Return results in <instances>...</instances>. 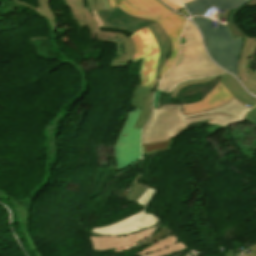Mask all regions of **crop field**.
Listing matches in <instances>:
<instances>
[{
    "mask_svg": "<svg viewBox=\"0 0 256 256\" xmlns=\"http://www.w3.org/2000/svg\"><path fill=\"white\" fill-rule=\"evenodd\" d=\"M249 110L235 97L229 103L192 115H184L183 111L153 109L150 120L143 130L142 145L170 140L178 133L195 127L192 123L198 121L210 120L206 124L225 127L243 121Z\"/></svg>",
    "mask_w": 256,
    "mask_h": 256,
    "instance_id": "obj_1",
    "label": "crop field"
},
{
    "mask_svg": "<svg viewBox=\"0 0 256 256\" xmlns=\"http://www.w3.org/2000/svg\"><path fill=\"white\" fill-rule=\"evenodd\" d=\"M181 38L186 43L180 44V55L175 67L161 79L154 94L153 108H158V97L161 92L169 93L183 81L213 78L226 73L208 58L201 37L190 21L187 22Z\"/></svg>",
    "mask_w": 256,
    "mask_h": 256,
    "instance_id": "obj_2",
    "label": "crop field"
},
{
    "mask_svg": "<svg viewBox=\"0 0 256 256\" xmlns=\"http://www.w3.org/2000/svg\"><path fill=\"white\" fill-rule=\"evenodd\" d=\"M200 28L211 58L227 71L237 75V63L243 45V38L232 40L226 24L219 23L212 28L211 20L194 18Z\"/></svg>",
    "mask_w": 256,
    "mask_h": 256,
    "instance_id": "obj_3",
    "label": "crop field"
},
{
    "mask_svg": "<svg viewBox=\"0 0 256 256\" xmlns=\"http://www.w3.org/2000/svg\"><path fill=\"white\" fill-rule=\"evenodd\" d=\"M129 37L134 44L132 62H142L140 67L141 85L152 88L159 56L156 39L148 27Z\"/></svg>",
    "mask_w": 256,
    "mask_h": 256,
    "instance_id": "obj_4",
    "label": "crop field"
},
{
    "mask_svg": "<svg viewBox=\"0 0 256 256\" xmlns=\"http://www.w3.org/2000/svg\"><path fill=\"white\" fill-rule=\"evenodd\" d=\"M124 10V12L133 15V16H138L146 19H150L153 21H156L160 24V26L165 30V32L169 35L171 41H172V51L171 54L165 63L164 67L162 68L159 79L163 76V74L170 68H172L179 52V36L182 32L184 23H185V18L176 14V13H171L170 15L166 16L165 18L159 20L154 17L136 12L132 9H130L127 5H125L123 2L120 3L118 6Z\"/></svg>",
    "mask_w": 256,
    "mask_h": 256,
    "instance_id": "obj_5",
    "label": "crop field"
},
{
    "mask_svg": "<svg viewBox=\"0 0 256 256\" xmlns=\"http://www.w3.org/2000/svg\"><path fill=\"white\" fill-rule=\"evenodd\" d=\"M158 221L159 218L150 214L145 215V212L142 210L140 213L114 225L92 229L91 232L99 235H127L151 227Z\"/></svg>",
    "mask_w": 256,
    "mask_h": 256,
    "instance_id": "obj_6",
    "label": "crop field"
},
{
    "mask_svg": "<svg viewBox=\"0 0 256 256\" xmlns=\"http://www.w3.org/2000/svg\"><path fill=\"white\" fill-rule=\"evenodd\" d=\"M97 13L104 23L103 27L126 30L132 33L155 23L150 20L130 16L118 7L112 10L97 11Z\"/></svg>",
    "mask_w": 256,
    "mask_h": 256,
    "instance_id": "obj_7",
    "label": "crop field"
},
{
    "mask_svg": "<svg viewBox=\"0 0 256 256\" xmlns=\"http://www.w3.org/2000/svg\"><path fill=\"white\" fill-rule=\"evenodd\" d=\"M50 169L49 166H47V172H46V176L43 179V181L37 185L35 188V190L26 198L23 200V202L18 201L16 199L10 198L9 195L3 193L0 190V197H5L10 203L11 205L14 207V209L17 212V216H18V224L20 226L21 232L26 234L27 237V241L29 243V246L32 250V253L35 256H39V254L37 253L30 237L27 231V219L29 216V208L35 198V196L40 192V190L44 187V185L48 182L49 180V176H50Z\"/></svg>",
    "mask_w": 256,
    "mask_h": 256,
    "instance_id": "obj_8",
    "label": "crop field"
},
{
    "mask_svg": "<svg viewBox=\"0 0 256 256\" xmlns=\"http://www.w3.org/2000/svg\"><path fill=\"white\" fill-rule=\"evenodd\" d=\"M256 52V38L244 37V45L238 63L239 79L246 88L256 94V70H251Z\"/></svg>",
    "mask_w": 256,
    "mask_h": 256,
    "instance_id": "obj_9",
    "label": "crop field"
},
{
    "mask_svg": "<svg viewBox=\"0 0 256 256\" xmlns=\"http://www.w3.org/2000/svg\"><path fill=\"white\" fill-rule=\"evenodd\" d=\"M38 14V13H37ZM45 19V18H44ZM46 20V19H45ZM47 21V20H46ZM48 23V21H47ZM49 24V23H48ZM49 31H50V37H51V41H52V45L53 48L55 49V51L59 54V56L61 57L63 63H66L68 65H70L73 69H75L77 72L78 70L76 68H74L69 62H67L65 60V58L59 53L58 49L56 48L54 41H53V36H52V30L51 27L49 26ZM79 76H80V82H81V88L80 90L64 105H62L61 109L59 110L57 116L55 118H53L52 120H50L48 122V124L45 126L44 130H43V135L46 139H48L50 137V143H49V152H50V156H51V160L53 161L54 158V154H55V150L58 147V143H57V138L56 135L59 131V126L60 124V120L63 119L64 115H65V106L70 103L71 101H73L74 99L78 98L81 94V92L83 91V89L86 87L82 76L80 75V73L78 72Z\"/></svg>",
    "mask_w": 256,
    "mask_h": 256,
    "instance_id": "obj_10",
    "label": "crop field"
},
{
    "mask_svg": "<svg viewBox=\"0 0 256 256\" xmlns=\"http://www.w3.org/2000/svg\"><path fill=\"white\" fill-rule=\"evenodd\" d=\"M98 41H109L117 45L114 61L111 68L126 67L131 62L133 44L124 34L100 32L97 30Z\"/></svg>",
    "mask_w": 256,
    "mask_h": 256,
    "instance_id": "obj_11",
    "label": "crop field"
},
{
    "mask_svg": "<svg viewBox=\"0 0 256 256\" xmlns=\"http://www.w3.org/2000/svg\"><path fill=\"white\" fill-rule=\"evenodd\" d=\"M141 109L129 113L115 145L118 170L130 166L128 138Z\"/></svg>",
    "mask_w": 256,
    "mask_h": 256,
    "instance_id": "obj_12",
    "label": "crop field"
},
{
    "mask_svg": "<svg viewBox=\"0 0 256 256\" xmlns=\"http://www.w3.org/2000/svg\"><path fill=\"white\" fill-rule=\"evenodd\" d=\"M155 229L156 227L151 228L149 230L142 231L140 233L131 234V235L122 236V237L90 236L89 239L93 249L97 251H103V250L113 249L121 246H126L136 241L145 239L150 235H152Z\"/></svg>",
    "mask_w": 256,
    "mask_h": 256,
    "instance_id": "obj_13",
    "label": "crop field"
},
{
    "mask_svg": "<svg viewBox=\"0 0 256 256\" xmlns=\"http://www.w3.org/2000/svg\"><path fill=\"white\" fill-rule=\"evenodd\" d=\"M234 96L230 94L224 86L219 84L206 95V97L196 104L183 105L185 114L202 112L204 110L216 107L229 101Z\"/></svg>",
    "mask_w": 256,
    "mask_h": 256,
    "instance_id": "obj_14",
    "label": "crop field"
},
{
    "mask_svg": "<svg viewBox=\"0 0 256 256\" xmlns=\"http://www.w3.org/2000/svg\"><path fill=\"white\" fill-rule=\"evenodd\" d=\"M153 91L154 89L148 87L135 86L130 106L134 108H142V110L133 128L143 129L145 126L151 110Z\"/></svg>",
    "mask_w": 256,
    "mask_h": 256,
    "instance_id": "obj_15",
    "label": "crop field"
},
{
    "mask_svg": "<svg viewBox=\"0 0 256 256\" xmlns=\"http://www.w3.org/2000/svg\"><path fill=\"white\" fill-rule=\"evenodd\" d=\"M111 7L115 8L121 1L127 4L132 9L157 17L159 19L173 12L158 0H109Z\"/></svg>",
    "mask_w": 256,
    "mask_h": 256,
    "instance_id": "obj_16",
    "label": "crop field"
},
{
    "mask_svg": "<svg viewBox=\"0 0 256 256\" xmlns=\"http://www.w3.org/2000/svg\"><path fill=\"white\" fill-rule=\"evenodd\" d=\"M250 0H194L185 4L191 15H202L211 5L224 10L237 9Z\"/></svg>",
    "mask_w": 256,
    "mask_h": 256,
    "instance_id": "obj_17",
    "label": "crop field"
},
{
    "mask_svg": "<svg viewBox=\"0 0 256 256\" xmlns=\"http://www.w3.org/2000/svg\"><path fill=\"white\" fill-rule=\"evenodd\" d=\"M185 248L187 247H185L180 242L176 243L175 237L168 236L163 240L152 244L151 246L142 249L140 252L130 256H167Z\"/></svg>",
    "mask_w": 256,
    "mask_h": 256,
    "instance_id": "obj_18",
    "label": "crop field"
},
{
    "mask_svg": "<svg viewBox=\"0 0 256 256\" xmlns=\"http://www.w3.org/2000/svg\"><path fill=\"white\" fill-rule=\"evenodd\" d=\"M71 13L75 16L72 19L79 23L80 27L87 26L90 33L95 34L98 26L93 17L88 13L82 0H65Z\"/></svg>",
    "mask_w": 256,
    "mask_h": 256,
    "instance_id": "obj_19",
    "label": "crop field"
},
{
    "mask_svg": "<svg viewBox=\"0 0 256 256\" xmlns=\"http://www.w3.org/2000/svg\"><path fill=\"white\" fill-rule=\"evenodd\" d=\"M218 80L244 105L250 108H254L256 106V98L245 92L237 80L231 77L229 74L226 73L225 75L218 77Z\"/></svg>",
    "mask_w": 256,
    "mask_h": 256,
    "instance_id": "obj_20",
    "label": "crop field"
},
{
    "mask_svg": "<svg viewBox=\"0 0 256 256\" xmlns=\"http://www.w3.org/2000/svg\"><path fill=\"white\" fill-rule=\"evenodd\" d=\"M150 30L153 32V34L156 36L159 50H160V56L159 61L157 65V75L154 82V85L158 79V75L160 72V69L163 67L165 61L167 60L169 53L171 51V42L167 34L164 32V30L159 26L158 23L152 24L148 26Z\"/></svg>",
    "mask_w": 256,
    "mask_h": 256,
    "instance_id": "obj_21",
    "label": "crop field"
},
{
    "mask_svg": "<svg viewBox=\"0 0 256 256\" xmlns=\"http://www.w3.org/2000/svg\"><path fill=\"white\" fill-rule=\"evenodd\" d=\"M15 2H18L22 5H25L29 8H32L34 10H36L40 15L44 16L47 20H49L50 22V26L52 27V30H53V36H54V41L56 43V35H55V30L57 29V21H56V18H55V14L54 12L52 11V9L49 7V0H38V8H33L31 6H29L28 4L24 3V2H21L19 0H13ZM56 46H57V43H56ZM58 48V46H57ZM59 49V48H58ZM60 50V49H59ZM61 54L66 58V60H68L70 63H72L64 54L63 52L60 50ZM73 66H75L76 68L79 69L81 75H83V78L88 86V82L85 78V75L83 74L82 70L79 68V66H76L72 63Z\"/></svg>",
    "mask_w": 256,
    "mask_h": 256,
    "instance_id": "obj_22",
    "label": "crop field"
},
{
    "mask_svg": "<svg viewBox=\"0 0 256 256\" xmlns=\"http://www.w3.org/2000/svg\"><path fill=\"white\" fill-rule=\"evenodd\" d=\"M141 131L133 129L130 134L129 147H130V159L131 165L140 160L141 158V149H140V139Z\"/></svg>",
    "mask_w": 256,
    "mask_h": 256,
    "instance_id": "obj_23",
    "label": "crop field"
},
{
    "mask_svg": "<svg viewBox=\"0 0 256 256\" xmlns=\"http://www.w3.org/2000/svg\"><path fill=\"white\" fill-rule=\"evenodd\" d=\"M253 5H256V0H252L250 1L249 3L245 4L244 6L240 7L238 10H233L228 18V24H229V28L231 30V33H232V36L233 38H237V37H241V36H247L243 31H241L239 29V27L237 26L235 20H234V17H235V14L245 8L246 6H253Z\"/></svg>",
    "mask_w": 256,
    "mask_h": 256,
    "instance_id": "obj_24",
    "label": "crop field"
},
{
    "mask_svg": "<svg viewBox=\"0 0 256 256\" xmlns=\"http://www.w3.org/2000/svg\"><path fill=\"white\" fill-rule=\"evenodd\" d=\"M149 187L142 186L133 183L132 186L129 188L127 192L126 199L132 202H135L137 199H139L147 190Z\"/></svg>",
    "mask_w": 256,
    "mask_h": 256,
    "instance_id": "obj_25",
    "label": "crop field"
},
{
    "mask_svg": "<svg viewBox=\"0 0 256 256\" xmlns=\"http://www.w3.org/2000/svg\"><path fill=\"white\" fill-rule=\"evenodd\" d=\"M172 141L142 146V153L144 155V154H151L153 152L166 151L169 149Z\"/></svg>",
    "mask_w": 256,
    "mask_h": 256,
    "instance_id": "obj_26",
    "label": "crop field"
},
{
    "mask_svg": "<svg viewBox=\"0 0 256 256\" xmlns=\"http://www.w3.org/2000/svg\"><path fill=\"white\" fill-rule=\"evenodd\" d=\"M88 10L111 9L108 0H84Z\"/></svg>",
    "mask_w": 256,
    "mask_h": 256,
    "instance_id": "obj_27",
    "label": "crop field"
},
{
    "mask_svg": "<svg viewBox=\"0 0 256 256\" xmlns=\"http://www.w3.org/2000/svg\"><path fill=\"white\" fill-rule=\"evenodd\" d=\"M2 1L4 3L2 14L20 13V7H22V5L10 0H2Z\"/></svg>",
    "mask_w": 256,
    "mask_h": 256,
    "instance_id": "obj_28",
    "label": "crop field"
},
{
    "mask_svg": "<svg viewBox=\"0 0 256 256\" xmlns=\"http://www.w3.org/2000/svg\"><path fill=\"white\" fill-rule=\"evenodd\" d=\"M212 79H203V80H191V81H187L184 82L182 84H180L178 87H176L173 92L171 93L172 98H175L176 95L178 94V92L188 86H192L194 84H198V83H204V82H210Z\"/></svg>",
    "mask_w": 256,
    "mask_h": 256,
    "instance_id": "obj_29",
    "label": "crop field"
},
{
    "mask_svg": "<svg viewBox=\"0 0 256 256\" xmlns=\"http://www.w3.org/2000/svg\"><path fill=\"white\" fill-rule=\"evenodd\" d=\"M169 233H170L169 229L164 228V229H162L161 231L158 232L159 235L154 236V237H152V238L146 240L144 243H142V244H141L140 246H138V247H141V246H144V245H147V244H150V243H155V242H157V241L163 239L164 237H166ZM138 247H136V248H138ZM133 249H135V248H133ZM131 250H132V249H131Z\"/></svg>",
    "mask_w": 256,
    "mask_h": 256,
    "instance_id": "obj_30",
    "label": "crop field"
},
{
    "mask_svg": "<svg viewBox=\"0 0 256 256\" xmlns=\"http://www.w3.org/2000/svg\"><path fill=\"white\" fill-rule=\"evenodd\" d=\"M156 191L150 189L149 191H147L139 200H137L136 202L140 205H144V207H146L151 200L153 199L154 195H155Z\"/></svg>",
    "mask_w": 256,
    "mask_h": 256,
    "instance_id": "obj_31",
    "label": "crop field"
},
{
    "mask_svg": "<svg viewBox=\"0 0 256 256\" xmlns=\"http://www.w3.org/2000/svg\"><path fill=\"white\" fill-rule=\"evenodd\" d=\"M245 119L256 124V108L254 110L249 111Z\"/></svg>",
    "mask_w": 256,
    "mask_h": 256,
    "instance_id": "obj_32",
    "label": "crop field"
},
{
    "mask_svg": "<svg viewBox=\"0 0 256 256\" xmlns=\"http://www.w3.org/2000/svg\"><path fill=\"white\" fill-rule=\"evenodd\" d=\"M163 1H164L166 4H168L170 7L174 8V9H176V10L181 9V7H179V6H177V5L173 4V3H171V2L168 1V0H163Z\"/></svg>",
    "mask_w": 256,
    "mask_h": 256,
    "instance_id": "obj_33",
    "label": "crop field"
},
{
    "mask_svg": "<svg viewBox=\"0 0 256 256\" xmlns=\"http://www.w3.org/2000/svg\"><path fill=\"white\" fill-rule=\"evenodd\" d=\"M94 15V17L96 18L97 22L99 25H102L103 23L101 22L100 18L98 17L97 13L95 11H91Z\"/></svg>",
    "mask_w": 256,
    "mask_h": 256,
    "instance_id": "obj_34",
    "label": "crop field"
},
{
    "mask_svg": "<svg viewBox=\"0 0 256 256\" xmlns=\"http://www.w3.org/2000/svg\"><path fill=\"white\" fill-rule=\"evenodd\" d=\"M251 249L255 250V253L252 255V256H255L256 255V243L251 247ZM242 256H246V255L243 254Z\"/></svg>",
    "mask_w": 256,
    "mask_h": 256,
    "instance_id": "obj_35",
    "label": "crop field"
},
{
    "mask_svg": "<svg viewBox=\"0 0 256 256\" xmlns=\"http://www.w3.org/2000/svg\"><path fill=\"white\" fill-rule=\"evenodd\" d=\"M170 1H172V2H174V3H176V4L180 5V6H182L181 3L179 2V0H170Z\"/></svg>",
    "mask_w": 256,
    "mask_h": 256,
    "instance_id": "obj_36",
    "label": "crop field"
},
{
    "mask_svg": "<svg viewBox=\"0 0 256 256\" xmlns=\"http://www.w3.org/2000/svg\"><path fill=\"white\" fill-rule=\"evenodd\" d=\"M231 11H227L226 14L223 17L227 18Z\"/></svg>",
    "mask_w": 256,
    "mask_h": 256,
    "instance_id": "obj_37",
    "label": "crop field"
},
{
    "mask_svg": "<svg viewBox=\"0 0 256 256\" xmlns=\"http://www.w3.org/2000/svg\"><path fill=\"white\" fill-rule=\"evenodd\" d=\"M182 1L185 4V3L189 2V1H192V0H182Z\"/></svg>",
    "mask_w": 256,
    "mask_h": 256,
    "instance_id": "obj_38",
    "label": "crop field"
}]
</instances>
